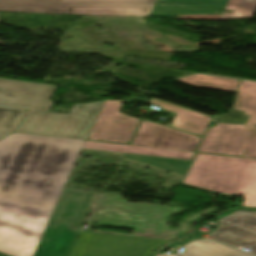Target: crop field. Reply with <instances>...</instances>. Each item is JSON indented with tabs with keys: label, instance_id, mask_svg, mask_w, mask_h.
I'll use <instances>...</instances> for the list:
<instances>
[{
	"label": "crop field",
	"instance_id": "1",
	"mask_svg": "<svg viewBox=\"0 0 256 256\" xmlns=\"http://www.w3.org/2000/svg\"><path fill=\"white\" fill-rule=\"evenodd\" d=\"M84 142L21 133L0 140V252L33 256Z\"/></svg>",
	"mask_w": 256,
	"mask_h": 256
},
{
	"label": "crop field",
	"instance_id": "2",
	"mask_svg": "<svg viewBox=\"0 0 256 256\" xmlns=\"http://www.w3.org/2000/svg\"><path fill=\"white\" fill-rule=\"evenodd\" d=\"M183 183L229 194H246L244 207H256V161L197 154Z\"/></svg>",
	"mask_w": 256,
	"mask_h": 256
},
{
	"label": "crop field",
	"instance_id": "3",
	"mask_svg": "<svg viewBox=\"0 0 256 256\" xmlns=\"http://www.w3.org/2000/svg\"><path fill=\"white\" fill-rule=\"evenodd\" d=\"M234 108L250 115L247 125L218 123L199 152L256 158V82L241 80Z\"/></svg>",
	"mask_w": 256,
	"mask_h": 256
},
{
	"label": "crop field",
	"instance_id": "4",
	"mask_svg": "<svg viewBox=\"0 0 256 256\" xmlns=\"http://www.w3.org/2000/svg\"><path fill=\"white\" fill-rule=\"evenodd\" d=\"M97 194L65 189L34 256H68Z\"/></svg>",
	"mask_w": 256,
	"mask_h": 256
},
{
	"label": "crop field",
	"instance_id": "5",
	"mask_svg": "<svg viewBox=\"0 0 256 256\" xmlns=\"http://www.w3.org/2000/svg\"><path fill=\"white\" fill-rule=\"evenodd\" d=\"M157 0H0V12L150 17Z\"/></svg>",
	"mask_w": 256,
	"mask_h": 256
},
{
	"label": "crop field",
	"instance_id": "6",
	"mask_svg": "<svg viewBox=\"0 0 256 256\" xmlns=\"http://www.w3.org/2000/svg\"><path fill=\"white\" fill-rule=\"evenodd\" d=\"M212 212L214 211L210 210L190 217L183 223L178 235L164 240L98 232H81L70 256H150L154 250L163 244L189 235L190 224Z\"/></svg>",
	"mask_w": 256,
	"mask_h": 256
},
{
	"label": "crop field",
	"instance_id": "7",
	"mask_svg": "<svg viewBox=\"0 0 256 256\" xmlns=\"http://www.w3.org/2000/svg\"><path fill=\"white\" fill-rule=\"evenodd\" d=\"M103 102L74 105L69 114L28 111L15 132L86 140Z\"/></svg>",
	"mask_w": 256,
	"mask_h": 256
},
{
	"label": "crop field",
	"instance_id": "8",
	"mask_svg": "<svg viewBox=\"0 0 256 256\" xmlns=\"http://www.w3.org/2000/svg\"><path fill=\"white\" fill-rule=\"evenodd\" d=\"M83 148L124 152L125 158L184 175L194 153L86 141Z\"/></svg>",
	"mask_w": 256,
	"mask_h": 256
},
{
	"label": "crop field",
	"instance_id": "9",
	"mask_svg": "<svg viewBox=\"0 0 256 256\" xmlns=\"http://www.w3.org/2000/svg\"><path fill=\"white\" fill-rule=\"evenodd\" d=\"M123 103L105 100L87 139L129 144L140 120L119 112Z\"/></svg>",
	"mask_w": 256,
	"mask_h": 256
},
{
	"label": "crop field",
	"instance_id": "10",
	"mask_svg": "<svg viewBox=\"0 0 256 256\" xmlns=\"http://www.w3.org/2000/svg\"><path fill=\"white\" fill-rule=\"evenodd\" d=\"M57 86L0 78V106L49 111Z\"/></svg>",
	"mask_w": 256,
	"mask_h": 256
},
{
	"label": "crop field",
	"instance_id": "11",
	"mask_svg": "<svg viewBox=\"0 0 256 256\" xmlns=\"http://www.w3.org/2000/svg\"><path fill=\"white\" fill-rule=\"evenodd\" d=\"M201 137L142 121L131 145L195 152Z\"/></svg>",
	"mask_w": 256,
	"mask_h": 256
},
{
	"label": "crop field",
	"instance_id": "12",
	"mask_svg": "<svg viewBox=\"0 0 256 256\" xmlns=\"http://www.w3.org/2000/svg\"><path fill=\"white\" fill-rule=\"evenodd\" d=\"M220 227L211 235L234 247L250 246L256 254V211L240 210L219 219Z\"/></svg>",
	"mask_w": 256,
	"mask_h": 256
},
{
	"label": "crop field",
	"instance_id": "13",
	"mask_svg": "<svg viewBox=\"0 0 256 256\" xmlns=\"http://www.w3.org/2000/svg\"><path fill=\"white\" fill-rule=\"evenodd\" d=\"M151 103L162 106L164 110L176 113L170 126L202 136H204L213 118L212 116L153 98H151Z\"/></svg>",
	"mask_w": 256,
	"mask_h": 256
},
{
	"label": "crop field",
	"instance_id": "14",
	"mask_svg": "<svg viewBox=\"0 0 256 256\" xmlns=\"http://www.w3.org/2000/svg\"><path fill=\"white\" fill-rule=\"evenodd\" d=\"M185 248L188 249L178 255L156 256H254L210 240L194 241Z\"/></svg>",
	"mask_w": 256,
	"mask_h": 256
},
{
	"label": "crop field",
	"instance_id": "15",
	"mask_svg": "<svg viewBox=\"0 0 256 256\" xmlns=\"http://www.w3.org/2000/svg\"><path fill=\"white\" fill-rule=\"evenodd\" d=\"M177 81L198 87L215 88L237 92L240 80L214 77L208 75H192Z\"/></svg>",
	"mask_w": 256,
	"mask_h": 256
},
{
	"label": "crop field",
	"instance_id": "16",
	"mask_svg": "<svg viewBox=\"0 0 256 256\" xmlns=\"http://www.w3.org/2000/svg\"><path fill=\"white\" fill-rule=\"evenodd\" d=\"M27 111L0 107V139L14 132Z\"/></svg>",
	"mask_w": 256,
	"mask_h": 256
},
{
	"label": "crop field",
	"instance_id": "17",
	"mask_svg": "<svg viewBox=\"0 0 256 256\" xmlns=\"http://www.w3.org/2000/svg\"><path fill=\"white\" fill-rule=\"evenodd\" d=\"M225 9L234 10L233 14L223 13L221 20L254 17L256 0H229Z\"/></svg>",
	"mask_w": 256,
	"mask_h": 256
}]
</instances>
